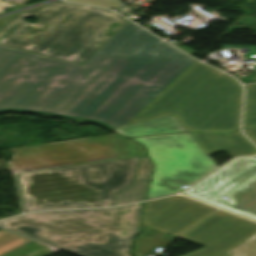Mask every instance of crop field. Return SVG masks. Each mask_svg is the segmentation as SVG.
Instances as JSON below:
<instances>
[{"instance_id": "d8731c3e", "label": "crop field", "mask_w": 256, "mask_h": 256, "mask_svg": "<svg viewBox=\"0 0 256 256\" xmlns=\"http://www.w3.org/2000/svg\"><path fill=\"white\" fill-rule=\"evenodd\" d=\"M256 234V223L217 211L179 238L203 246L183 256H227V252Z\"/></svg>"}, {"instance_id": "dd49c442", "label": "crop field", "mask_w": 256, "mask_h": 256, "mask_svg": "<svg viewBox=\"0 0 256 256\" xmlns=\"http://www.w3.org/2000/svg\"><path fill=\"white\" fill-rule=\"evenodd\" d=\"M131 139L148 148L156 165L147 198L180 192L217 168L189 133Z\"/></svg>"}, {"instance_id": "22f410ed", "label": "crop field", "mask_w": 256, "mask_h": 256, "mask_svg": "<svg viewBox=\"0 0 256 256\" xmlns=\"http://www.w3.org/2000/svg\"><path fill=\"white\" fill-rule=\"evenodd\" d=\"M178 196L162 198L158 200L148 201L145 204L141 230L144 229L154 218H156L170 203ZM140 230V231H141Z\"/></svg>"}, {"instance_id": "4a817a6b", "label": "crop field", "mask_w": 256, "mask_h": 256, "mask_svg": "<svg viewBox=\"0 0 256 256\" xmlns=\"http://www.w3.org/2000/svg\"><path fill=\"white\" fill-rule=\"evenodd\" d=\"M69 1L97 5L105 8H116L122 3L120 0H69Z\"/></svg>"}, {"instance_id": "d1516ede", "label": "crop field", "mask_w": 256, "mask_h": 256, "mask_svg": "<svg viewBox=\"0 0 256 256\" xmlns=\"http://www.w3.org/2000/svg\"><path fill=\"white\" fill-rule=\"evenodd\" d=\"M113 131L126 135H147L160 133H174L186 131L173 115L113 129Z\"/></svg>"}, {"instance_id": "d9b57169", "label": "crop field", "mask_w": 256, "mask_h": 256, "mask_svg": "<svg viewBox=\"0 0 256 256\" xmlns=\"http://www.w3.org/2000/svg\"><path fill=\"white\" fill-rule=\"evenodd\" d=\"M29 241L31 240L2 230L0 231V255L16 247H19Z\"/></svg>"}, {"instance_id": "f4fd0767", "label": "crop field", "mask_w": 256, "mask_h": 256, "mask_svg": "<svg viewBox=\"0 0 256 256\" xmlns=\"http://www.w3.org/2000/svg\"><path fill=\"white\" fill-rule=\"evenodd\" d=\"M139 158L20 173L24 210L112 206L114 192L133 182Z\"/></svg>"}, {"instance_id": "28ad6ade", "label": "crop field", "mask_w": 256, "mask_h": 256, "mask_svg": "<svg viewBox=\"0 0 256 256\" xmlns=\"http://www.w3.org/2000/svg\"><path fill=\"white\" fill-rule=\"evenodd\" d=\"M152 168L146 156L141 157L134 182L115 193L113 206L143 200Z\"/></svg>"}, {"instance_id": "8a807250", "label": "crop field", "mask_w": 256, "mask_h": 256, "mask_svg": "<svg viewBox=\"0 0 256 256\" xmlns=\"http://www.w3.org/2000/svg\"><path fill=\"white\" fill-rule=\"evenodd\" d=\"M195 60L127 22L82 66L0 46V109L124 126Z\"/></svg>"}, {"instance_id": "214f88e0", "label": "crop field", "mask_w": 256, "mask_h": 256, "mask_svg": "<svg viewBox=\"0 0 256 256\" xmlns=\"http://www.w3.org/2000/svg\"><path fill=\"white\" fill-rule=\"evenodd\" d=\"M243 132L256 144V127L245 129Z\"/></svg>"}, {"instance_id": "34b2d1b8", "label": "crop field", "mask_w": 256, "mask_h": 256, "mask_svg": "<svg viewBox=\"0 0 256 256\" xmlns=\"http://www.w3.org/2000/svg\"><path fill=\"white\" fill-rule=\"evenodd\" d=\"M142 204L37 212L0 221V226L82 256H129Z\"/></svg>"}, {"instance_id": "5a996713", "label": "crop field", "mask_w": 256, "mask_h": 256, "mask_svg": "<svg viewBox=\"0 0 256 256\" xmlns=\"http://www.w3.org/2000/svg\"><path fill=\"white\" fill-rule=\"evenodd\" d=\"M214 210L179 196L148 227L176 236Z\"/></svg>"}, {"instance_id": "00972430", "label": "crop field", "mask_w": 256, "mask_h": 256, "mask_svg": "<svg viewBox=\"0 0 256 256\" xmlns=\"http://www.w3.org/2000/svg\"><path fill=\"white\" fill-rule=\"evenodd\" d=\"M255 47H256V46H255ZM254 56H255V58H256V54H255ZM254 72L256 73V70H254ZM255 73H254V74H255Z\"/></svg>"}, {"instance_id": "5142ce71", "label": "crop field", "mask_w": 256, "mask_h": 256, "mask_svg": "<svg viewBox=\"0 0 256 256\" xmlns=\"http://www.w3.org/2000/svg\"><path fill=\"white\" fill-rule=\"evenodd\" d=\"M113 141L118 159L144 155L143 147L138 143L127 139H119Z\"/></svg>"}, {"instance_id": "cbeb9de0", "label": "crop field", "mask_w": 256, "mask_h": 256, "mask_svg": "<svg viewBox=\"0 0 256 256\" xmlns=\"http://www.w3.org/2000/svg\"><path fill=\"white\" fill-rule=\"evenodd\" d=\"M256 125V84L246 85L243 128Z\"/></svg>"}, {"instance_id": "92a150f3", "label": "crop field", "mask_w": 256, "mask_h": 256, "mask_svg": "<svg viewBox=\"0 0 256 256\" xmlns=\"http://www.w3.org/2000/svg\"><path fill=\"white\" fill-rule=\"evenodd\" d=\"M13 6H19V5H15V4H11V3H7V2H3L0 1V13H3L4 11H2L5 7H13Z\"/></svg>"}, {"instance_id": "dafd665d", "label": "crop field", "mask_w": 256, "mask_h": 256, "mask_svg": "<svg viewBox=\"0 0 256 256\" xmlns=\"http://www.w3.org/2000/svg\"><path fill=\"white\" fill-rule=\"evenodd\" d=\"M9 17H10V16H9ZM9 17L1 18V19H0V26H1Z\"/></svg>"}, {"instance_id": "ac0d7876", "label": "crop field", "mask_w": 256, "mask_h": 256, "mask_svg": "<svg viewBox=\"0 0 256 256\" xmlns=\"http://www.w3.org/2000/svg\"><path fill=\"white\" fill-rule=\"evenodd\" d=\"M37 18L32 25L23 21ZM128 20L108 10L57 2L12 15L0 45L82 65Z\"/></svg>"}, {"instance_id": "412701ff", "label": "crop field", "mask_w": 256, "mask_h": 256, "mask_svg": "<svg viewBox=\"0 0 256 256\" xmlns=\"http://www.w3.org/2000/svg\"><path fill=\"white\" fill-rule=\"evenodd\" d=\"M241 100L236 80L195 61L127 125L173 114L187 131H232Z\"/></svg>"}, {"instance_id": "e52e79f7", "label": "crop field", "mask_w": 256, "mask_h": 256, "mask_svg": "<svg viewBox=\"0 0 256 256\" xmlns=\"http://www.w3.org/2000/svg\"><path fill=\"white\" fill-rule=\"evenodd\" d=\"M183 194L256 220V157L232 160Z\"/></svg>"}, {"instance_id": "3316defc", "label": "crop field", "mask_w": 256, "mask_h": 256, "mask_svg": "<svg viewBox=\"0 0 256 256\" xmlns=\"http://www.w3.org/2000/svg\"><path fill=\"white\" fill-rule=\"evenodd\" d=\"M206 155L226 151L229 156L256 154L255 146L240 131L227 134L190 133Z\"/></svg>"}, {"instance_id": "bc2a9ffb", "label": "crop field", "mask_w": 256, "mask_h": 256, "mask_svg": "<svg viewBox=\"0 0 256 256\" xmlns=\"http://www.w3.org/2000/svg\"><path fill=\"white\" fill-rule=\"evenodd\" d=\"M9 110H17V109H2L0 110V112H4V111H9ZM19 111H28V110H19ZM30 112H35V113H45V114H50V115H56V116H62V117H67V118H71V119H75V120H85V119H78V118H74V117H70V116H66V115H61V114H56V113H47V112H36V111H30ZM86 121H92V122H97L100 123L110 129H112V127L106 125L103 122H99V121H94V120H86Z\"/></svg>"}, {"instance_id": "733c2abd", "label": "crop field", "mask_w": 256, "mask_h": 256, "mask_svg": "<svg viewBox=\"0 0 256 256\" xmlns=\"http://www.w3.org/2000/svg\"><path fill=\"white\" fill-rule=\"evenodd\" d=\"M227 254L228 256H256V235Z\"/></svg>"}]
</instances>
